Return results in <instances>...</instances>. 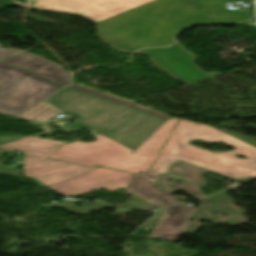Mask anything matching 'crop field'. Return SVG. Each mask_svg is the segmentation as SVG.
<instances>
[{"instance_id": "obj_20", "label": "crop field", "mask_w": 256, "mask_h": 256, "mask_svg": "<svg viewBox=\"0 0 256 256\" xmlns=\"http://www.w3.org/2000/svg\"><path fill=\"white\" fill-rule=\"evenodd\" d=\"M224 132H226V133H228V134H231V135H233V136H236V137H238V138H240V139H242V140H244V141H246V142H248V143H250V144L256 146V141H254V140H252V139H250V138H248V137H246V136L239 135V134H235V133H233V132H227L226 130H225Z\"/></svg>"}, {"instance_id": "obj_23", "label": "crop field", "mask_w": 256, "mask_h": 256, "mask_svg": "<svg viewBox=\"0 0 256 256\" xmlns=\"http://www.w3.org/2000/svg\"><path fill=\"white\" fill-rule=\"evenodd\" d=\"M17 139L14 138H7V137H0V145L15 141Z\"/></svg>"}, {"instance_id": "obj_7", "label": "crop field", "mask_w": 256, "mask_h": 256, "mask_svg": "<svg viewBox=\"0 0 256 256\" xmlns=\"http://www.w3.org/2000/svg\"><path fill=\"white\" fill-rule=\"evenodd\" d=\"M131 176V173L98 168L49 188L64 194L66 197L74 194L85 195L100 188L113 191L126 189Z\"/></svg>"}, {"instance_id": "obj_19", "label": "crop field", "mask_w": 256, "mask_h": 256, "mask_svg": "<svg viewBox=\"0 0 256 256\" xmlns=\"http://www.w3.org/2000/svg\"><path fill=\"white\" fill-rule=\"evenodd\" d=\"M20 51L21 50H17V49H7V50H5V49L0 48V59L4 58V57H7V56H10V55L15 54V53L20 52Z\"/></svg>"}, {"instance_id": "obj_22", "label": "crop field", "mask_w": 256, "mask_h": 256, "mask_svg": "<svg viewBox=\"0 0 256 256\" xmlns=\"http://www.w3.org/2000/svg\"><path fill=\"white\" fill-rule=\"evenodd\" d=\"M0 172L21 174L20 170L12 169L0 164Z\"/></svg>"}, {"instance_id": "obj_12", "label": "crop field", "mask_w": 256, "mask_h": 256, "mask_svg": "<svg viewBox=\"0 0 256 256\" xmlns=\"http://www.w3.org/2000/svg\"><path fill=\"white\" fill-rule=\"evenodd\" d=\"M178 118H171L163 123L157 130H155L133 153L132 155L147 158L141 171L147 172L151 165L156 160L164 142L168 138Z\"/></svg>"}, {"instance_id": "obj_21", "label": "crop field", "mask_w": 256, "mask_h": 256, "mask_svg": "<svg viewBox=\"0 0 256 256\" xmlns=\"http://www.w3.org/2000/svg\"><path fill=\"white\" fill-rule=\"evenodd\" d=\"M83 128H86V127L81 125L78 122H75V123L69 124L65 129L76 131V130L83 129Z\"/></svg>"}, {"instance_id": "obj_27", "label": "crop field", "mask_w": 256, "mask_h": 256, "mask_svg": "<svg viewBox=\"0 0 256 256\" xmlns=\"http://www.w3.org/2000/svg\"><path fill=\"white\" fill-rule=\"evenodd\" d=\"M42 166H44V165L42 164Z\"/></svg>"}, {"instance_id": "obj_11", "label": "crop field", "mask_w": 256, "mask_h": 256, "mask_svg": "<svg viewBox=\"0 0 256 256\" xmlns=\"http://www.w3.org/2000/svg\"><path fill=\"white\" fill-rule=\"evenodd\" d=\"M3 61L64 85L70 83V79L64 67L29 54L27 52L18 54Z\"/></svg>"}, {"instance_id": "obj_2", "label": "crop field", "mask_w": 256, "mask_h": 256, "mask_svg": "<svg viewBox=\"0 0 256 256\" xmlns=\"http://www.w3.org/2000/svg\"><path fill=\"white\" fill-rule=\"evenodd\" d=\"M224 142L237 149L213 154L192 147L191 140ZM236 153L248 159H237ZM178 159L233 179L256 177V148L212 127L180 119L150 170L165 174Z\"/></svg>"}, {"instance_id": "obj_17", "label": "crop field", "mask_w": 256, "mask_h": 256, "mask_svg": "<svg viewBox=\"0 0 256 256\" xmlns=\"http://www.w3.org/2000/svg\"><path fill=\"white\" fill-rule=\"evenodd\" d=\"M40 206H46V207H63L73 213H78V214H88L89 211H92V210H99L101 209L102 207L106 206L100 202H97L89 207H86V208H80L76 205H74L73 203L69 202V201H66L64 203H59V204H42ZM95 206H98V208H96ZM103 209V208H102Z\"/></svg>"}, {"instance_id": "obj_16", "label": "crop field", "mask_w": 256, "mask_h": 256, "mask_svg": "<svg viewBox=\"0 0 256 256\" xmlns=\"http://www.w3.org/2000/svg\"><path fill=\"white\" fill-rule=\"evenodd\" d=\"M57 112H59L57 109L43 101L35 107L28 110L20 117L28 120L43 122Z\"/></svg>"}, {"instance_id": "obj_10", "label": "crop field", "mask_w": 256, "mask_h": 256, "mask_svg": "<svg viewBox=\"0 0 256 256\" xmlns=\"http://www.w3.org/2000/svg\"><path fill=\"white\" fill-rule=\"evenodd\" d=\"M158 176L157 174L144 172H140L139 175L133 174L126 194L130 196L138 195L159 208L179 202L154 186Z\"/></svg>"}, {"instance_id": "obj_14", "label": "crop field", "mask_w": 256, "mask_h": 256, "mask_svg": "<svg viewBox=\"0 0 256 256\" xmlns=\"http://www.w3.org/2000/svg\"><path fill=\"white\" fill-rule=\"evenodd\" d=\"M95 168H98V167L85 168L79 165H75V166L48 170V171L32 173L27 175L35 177L41 180L42 182L46 183L47 185L51 186L55 183H58L60 181L82 174L84 172L93 170Z\"/></svg>"}, {"instance_id": "obj_13", "label": "crop field", "mask_w": 256, "mask_h": 256, "mask_svg": "<svg viewBox=\"0 0 256 256\" xmlns=\"http://www.w3.org/2000/svg\"><path fill=\"white\" fill-rule=\"evenodd\" d=\"M63 144H66V143L47 140V139L28 137V138L20 139L18 141L0 146V151L15 149V150L49 155L56 148H58Z\"/></svg>"}, {"instance_id": "obj_24", "label": "crop field", "mask_w": 256, "mask_h": 256, "mask_svg": "<svg viewBox=\"0 0 256 256\" xmlns=\"http://www.w3.org/2000/svg\"><path fill=\"white\" fill-rule=\"evenodd\" d=\"M34 7L41 8V9H46V10H51V11H56V10H52V9H48V8H44V7H40V6H36V5H34ZM56 12H61V11H56ZM61 13H66V12H61ZM66 14H70V13H66Z\"/></svg>"}, {"instance_id": "obj_8", "label": "crop field", "mask_w": 256, "mask_h": 256, "mask_svg": "<svg viewBox=\"0 0 256 256\" xmlns=\"http://www.w3.org/2000/svg\"><path fill=\"white\" fill-rule=\"evenodd\" d=\"M141 52L151 55L190 84L209 78L197 69L192 64L193 59L176 45L171 48L145 49Z\"/></svg>"}, {"instance_id": "obj_1", "label": "crop field", "mask_w": 256, "mask_h": 256, "mask_svg": "<svg viewBox=\"0 0 256 256\" xmlns=\"http://www.w3.org/2000/svg\"><path fill=\"white\" fill-rule=\"evenodd\" d=\"M252 0H157L97 23L98 36L129 53L148 45H167L174 33L195 22L251 23L246 12L228 11L226 2ZM252 24V23H251Z\"/></svg>"}, {"instance_id": "obj_9", "label": "crop field", "mask_w": 256, "mask_h": 256, "mask_svg": "<svg viewBox=\"0 0 256 256\" xmlns=\"http://www.w3.org/2000/svg\"><path fill=\"white\" fill-rule=\"evenodd\" d=\"M195 211L184 203L164 210L149 237L178 241Z\"/></svg>"}, {"instance_id": "obj_25", "label": "crop field", "mask_w": 256, "mask_h": 256, "mask_svg": "<svg viewBox=\"0 0 256 256\" xmlns=\"http://www.w3.org/2000/svg\"><path fill=\"white\" fill-rule=\"evenodd\" d=\"M82 124V123H81ZM84 125V124H83ZM86 126V125H85ZM88 127V126H87ZM90 128V127H89ZM92 129V128H91ZM93 130H95V129H93ZM95 131H97V132H99V133H105V132H107V131H105V130H102V131H98V130H95Z\"/></svg>"}, {"instance_id": "obj_15", "label": "crop field", "mask_w": 256, "mask_h": 256, "mask_svg": "<svg viewBox=\"0 0 256 256\" xmlns=\"http://www.w3.org/2000/svg\"><path fill=\"white\" fill-rule=\"evenodd\" d=\"M18 152H21V151H18ZM41 163L45 164L46 167L40 168ZM70 165H74V164H69V163L49 159L45 155H39V154H33V153H27V152H25V155H24L25 174L64 167V166H70Z\"/></svg>"}, {"instance_id": "obj_4", "label": "crop field", "mask_w": 256, "mask_h": 256, "mask_svg": "<svg viewBox=\"0 0 256 256\" xmlns=\"http://www.w3.org/2000/svg\"><path fill=\"white\" fill-rule=\"evenodd\" d=\"M90 143L74 142L63 145L49 155V158L79 164L98 165L106 168L138 173L144 158L129 155L133 150L99 134Z\"/></svg>"}, {"instance_id": "obj_5", "label": "crop field", "mask_w": 256, "mask_h": 256, "mask_svg": "<svg viewBox=\"0 0 256 256\" xmlns=\"http://www.w3.org/2000/svg\"><path fill=\"white\" fill-rule=\"evenodd\" d=\"M0 113L18 117L64 86L0 61Z\"/></svg>"}, {"instance_id": "obj_26", "label": "crop field", "mask_w": 256, "mask_h": 256, "mask_svg": "<svg viewBox=\"0 0 256 256\" xmlns=\"http://www.w3.org/2000/svg\"><path fill=\"white\" fill-rule=\"evenodd\" d=\"M3 78V76L0 75V79Z\"/></svg>"}, {"instance_id": "obj_6", "label": "crop field", "mask_w": 256, "mask_h": 256, "mask_svg": "<svg viewBox=\"0 0 256 256\" xmlns=\"http://www.w3.org/2000/svg\"><path fill=\"white\" fill-rule=\"evenodd\" d=\"M35 4L99 22L154 0H33Z\"/></svg>"}, {"instance_id": "obj_18", "label": "crop field", "mask_w": 256, "mask_h": 256, "mask_svg": "<svg viewBox=\"0 0 256 256\" xmlns=\"http://www.w3.org/2000/svg\"><path fill=\"white\" fill-rule=\"evenodd\" d=\"M69 87H72V88H75V89H78V90H81V91H84V92H88V93H91V94H94V95H98V96H101V97H104V98H108V99H111V100H114V101H117V102L129 105L131 107H134V108H137V109L149 112L151 114L160 116V117L165 118V119L169 118V115H165V114H162V113L154 112V111H151V110L146 109L144 107L138 106L136 104H133V103H130V102H127V101H123V100H120V99H117V98H114V97H111V96H107V95H104V94H101V93H98V92H95V91H91V90H88V89H85V88H82V87H79V86H76V85H73V84H71Z\"/></svg>"}, {"instance_id": "obj_3", "label": "crop field", "mask_w": 256, "mask_h": 256, "mask_svg": "<svg viewBox=\"0 0 256 256\" xmlns=\"http://www.w3.org/2000/svg\"><path fill=\"white\" fill-rule=\"evenodd\" d=\"M48 102L60 110L82 118L95 129L132 149H136L165 120L73 89H64Z\"/></svg>"}]
</instances>
